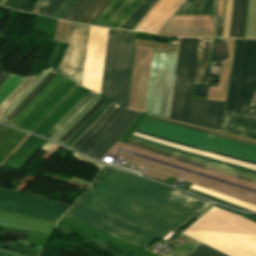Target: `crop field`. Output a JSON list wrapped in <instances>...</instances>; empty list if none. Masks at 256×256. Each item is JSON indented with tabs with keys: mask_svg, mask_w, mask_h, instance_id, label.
Wrapping results in <instances>:
<instances>
[{
	"mask_svg": "<svg viewBox=\"0 0 256 256\" xmlns=\"http://www.w3.org/2000/svg\"><path fill=\"white\" fill-rule=\"evenodd\" d=\"M211 204L103 166L65 216L145 250Z\"/></svg>",
	"mask_w": 256,
	"mask_h": 256,
	"instance_id": "crop-field-1",
	"label": "crop field"
},
{
	"mask_svg": "<svg viewBox=\"0 0 256 256\" xmlns=\"http://www.w3.org/2000/svg\"><path fill=\"white\" fill-rule=\"evenodd\" d=\"M182 233L229 256H256V224L215 207ZM202 243L187 256H227Z\"/></svg>",
	"mask_w": 256,
	"mask_h": 256,
	"instance_id": "crop-field-2",
	"label": "crop field"
},
{
	"mask_svg": "<svg viewBox=\"0 0 256 256\" xmlns=\"http://www.w3.org/2000/svg\"><path fill=\"white\" fill-rule=\"evenodd\" d=\"M199 39H180L169 119L220 131L224 102L189 99Z\"/></svg>",
	"mask_w": 256,
	"mask_h": 256,
	"instance_id": "crop-field-3",
	"label": "crop field"
},
{
	"mask_svg": "<svg viewBox=\"0 0 256 256\" xmlns=\"http://www.w3.org/2000/svg\"><path fill=\"white\" fill-rule=\"evenodd\" d=\"M135 33L108 32L100 94L123 107L126 104Z\"/></svg>",
	"mask_w": 256,
	"mask_h": 256,
	"instance_id": "crop-field-4",
	"label": "crop field"
},
{
	"mask_svg": "<svg viewBox=\"0 0 256 256\" xmlns=\"http://www.w3.org/2000/svg\"><path fill=\"white\" fill-rule=\"evenodd\" d=\"M127 109L115 103L111 104L71 148L99 160L139 115V112Z\"/></svg>",
	"mask_w": 256,
	"mask_h": 256,
	"instance_id": "crop-field-5",
	"label": "crop field"
},
{
	"mask_svg": "<svg viewBox=\"0 0 256 256\" xmlns=\"http://www.w3.org/2000/svg\"><path fill=\"white\" fill-rule=\"evenodd\" d=\"M137 130L256 162V147L145 117Z\"/></svg>",
	"mask_w": 256,
	"mask_h": 256,
	"instance_id": "crop-field-6",
	"label": "crop field"
},
{
	"mask_svg": "<svg viewBox=\"0 0 256 256\" xmlns=\"http://www.w3.org/2000/svg\"><path fill=\"white\" fill-rule=\"evenodd\" d=\"M176 57L153 50L144 109L149 115L168 119Z\"/></svg>",
	"mask_w": 256,
	"mask_h": 256,
	"instance_id": "crop-field-7",
	"label": "crop field"
},
{
	"mask_svg": "<svg viewBox=\"0 0 256 256\" xmlns=\"http://www.w3.org/2000/svg\"><path fill=\"white\" fill-rule=\"evenodd\" d=\"M70 205L12 190L0 189V210L57 222Z\"/></svg>",
	"mask_w": 256,
	"mask_h": 256,
	"instance_id": "crop-field-8",
	"label": "crop field"
},
{
	"mask_svg": "<svg viewBox=\"0 0 256 256\" xmlns=\"http://www.w3.org/2000/svg\"><path fill=\"white\" fill-rule=\"evenodd\" d=\"M88 30V26L72 23L69 45L56 69L79 85L82 83Z\"/></svg>",
	"mask_w": 256,
	"mask_h": 256,
	"instance_id": "crop-field-9",
	"label": "crop field"
},
{
	"mask_svg": "<svg viewBox=\"0 0 256 256\" xmlns=\"http://www.w3.org/2000/svg\"><path fill=\"white\" fill-rule=\"evenodd\" d=\"M128 140L132 141V142H135L137 144L149 147L151 149L160 151V152H164V153H167V154H170V155H174V156H177V157H180V158H184V159H187V160H190V161L201 163V164H204V165H207V166H211V167H214V168H217V169H221V170H224V171H227V172H231V173H234V174H238V175L256 180V174L251 173V172H247V171L240 170V169H237V168H233V167H230V166L222 165V164L215 163V162H212V161L204 160V159L197 158V157H194V156L178 153V152L172 151L170 149L163 148V147H160V146H157V145L145 142V141H141V140H138V139H135V138H132V137H130ZM129 141H127V144L142 148L144 150H147V151L159 154V155H162V156L170 158L172 160L179 161V162L186 163V164H189V165H193V166H196V167H200V168H203V169H206V170H210V171H213V172H216V173L228 176V177L237 178V179H241V180L256 184V181H254V180L244 178V177H241V176H238V175H234V174H231V173H227V172L217 170V169H214V168H211V167H207V166H204V165H201V164H197V163H194V162H190V161L180 159V158H177V157H174V156H170V155H167V154H164V153H160V152L151 150L149 148L137 145V144L129 142Z\"/></svg>",
	"mask_w": 256,
	"mask_h": 256,
	"instance_id": "crop-field-10",
	"label": "crop field"
},
{
	"mask_svg": "<svg viewBox=\"0 0 256 256\" xmlns=\"http://www.w3.org/2000/svg\"><path fill=\"white\" fill-rule=\"evenodd\" d=\"M255 64L256 41L245 40L235 113L247 117L249 114Z\"/></svg>",
	"mask_w": 256,
	"mask_h": 256,
	"instance_id": "crop-field-11",
	"label": "crop field"
},
{
	"mask_svg": "<svg viewBox=\"0 0 256 256\" xmlns=\"http://www.w3.org/2000/svg\"><path fill=\"white\" fill-rule=\"evenodd\" d=\"M140 0H114L93 25L117 28Z\"/></svg>",
	"mask_w": 256,
	"mask_h": 256,
	"instance_id": "crop-field-12",
	"label": "crop field"
},
{
	"mask_svg": "<svg viewBox=\"0 0 256 256\" xmlns=\"http://www.w3.org/2000/svg\"><path fill=\"white\" fill-rule=\"evenodd\" d=\"M0 224L52 234L56 223L27 216L0 212Z\"/></svg>",
	"mask_w": 256,
	"mask_h": 256,
	"instance_id": "crop-field-13",
	"label": "crop field"
},
{
	"mask_svg": "<svg viewBox=\"0 0 256 256\" xmlns=\"http://www.w3.org/2000/svg\"><path fill=\"white\" fill-rule=\"evenodd\" d=\"M223 132L256 140V120L226 112Z\"/></svg>",
	"mask_w": 256,
	"mask_h": 256,
	"instance_id": "crop-field-14",
	"label": "crop field"
},
{
	"mask_svg": "<svg viewBox=\"0 0 256 256\" xmlns=\"http://www.w3.org/2000/svg\"><path fill=\"white\" fill-rule=\"evenodd\" d=\"M67 79L62 86L20 128L30 131L75 85Z\"/></svg>",
	"mask_w": 256,
	"mask_h": 256,
	"instance_id": "crop-field-15",
	"label": "crop field"
},
{
	"mask_svg": "<svg viewBox=\"0 0 256 256\" xmlns=\"http://www.w3.org/2000/svg\"><path fill=\"white\" fill-rule=\"evenodd\" d=\"M88 91L80 86L35 133L44 136Z\"/></svg>",
	"mask_w": 256,
	"mask_h": 256,
	"instance_id": "crop-field-16",
	"label": "crop field"
},
{
	"mask_svg": "<svg viewBox=\"0 0 256 256\" xmlns=\"http://www.w3.org/2000/svg\"><path fill=\"white\" fill-rule=\"evenodd\" d=\"M213 39H200L194 83L207 84Z\"/></svg>",
	"mask_w": 256,
	"mask_h": 256,
	"instance_id": "crop-field-17",
	"label": "crop field"
},
{
	"mask_svg": "<svg viewBox=\"0 0 256 256\" xmlns=\"http://www.w3.org/2000/svg\"><path fill=\"white\" fill-rule=\"evenodd\" d=\"M243 43H244V40L237 39L233 71H232V78H231V85H230L229 100H228V107H227V111L233 112V113L235 110V102H236V95H237V87H238V80H239Z\"/></svg>",
	"mask_w": 256,
	"mask_h": 256,
	"instance_id": "crop-field-18",
	"label": "crop field"
},
{
	"mask_svg": "<svg viewBox=\"0 0 256 256\" xmlns=\"http://www.w3.org/2000/svg\"><path fill=\"white\" fill-rule=\"evenodd\" d=\"M247 0H234L229 37L242 38Z\"/></svg>",
	"mask_w": 256,
	"mask_h": 256,
	"instance_id": "crop-field-19",
	"label": "crop field"
},
{
	"mask_svg": "<svg viewBox=\"0 0 256 256\" xmlns=\"http://www.w3.org/2000/svg\"><path fill=\"white\" fill-rule=\"evenodd\" d=\"M157 1L158 0H142V2L135 8L119 28L132 30Z\"/></svg>",
	"mask_w": 256,
	"mask_h": 256,
	"instance_id": "crop-field-20",
	"label": "crop field"
},
{
	"mask_svg": "<svg viewBox=\"0 0 256 256\" xmlns=\"http://www.w3.org/2000/svg\"><path fill=\"white\" fill-rule=\"evenodd\" d=\"M58 71L52 70L47 77L24 99V101L3 121L9 124L51 81Z\"/></svg>",
	"mask_w": 256,
	"mask_h": 256,
	"instance_id": "crop-field-21",
	"label": "crop field"
},
{
	"mask_svg": "<svg viewBox=\"0 0 256 256\" xmlns=\"http://www.w3.org/2000/svg\"><path fill=\"white\" fill-rule=\"evenodd\" d=\"M110 1L111 0H92L74 21L90 24Z\"/></svg>",
	"mask_w": 256,
	"mask_h": 256,
	"instance_id": "crop-field-22",
	"label": "crop field"
},
{
	"mask_svg": "<svg viewBox=\"0 0 256 256\" xmlns=\"http://www.w3.org/2000/svg\"><path fill=\"white\" fill-rule=\"evenodd\" d=\"M195 0H188L176 15H182ZM212 0H196L183 15L210 14Z\"/></svg>",
	"mask_w": 256,
	"mask_h": 256,
	"instance_id": "crop-field-23",
	"label": "crop field"
},
{
	"mask_svg": "<svg viewBox=\"0 0 256 256\" xmlns=\"http://www.w3.org/2000/svg\"><path fill=\"white\" fill-rule=\"evenodd\" d=\"M26 135L21 131L13 129L6 139L0 144V163L8 156L19 141Z\"/></svg>",
	"mask_w": 256,
	"mask_h": 256,
	"instance_id": "crop-field-24",
	"label": "crop field"
},
{
	"mask_svg": "<svg viewBox=\"0 0 256 256\" xmlns=\"http://www.w3.org/2000/svg\"><path fill=\"white\" fill-rule=\"evenodd\" d=\"M101 97L99 94H95L88 103L74 116L72 117L65 125H63L57 133L51 138V140L57 141L65 132H67Z\"/></svg>",
	"mask_w": 256,
	"mask_h": 256,
	"instance_id": "crop-field-25",
	"label": "crop field"
},
{
	"mask_svg": "<svg viewBox=\"0 0 256 256\" xmlns=\"http://www.w3.org/2000/svg\"><path fill=\"white\" fill-rule=\"evenodd\" d=\"M112 102L106 100L104 104L97 110V112L78 130L76 131L65 143L64 145L70 147L81 135H83L92 124L101 116V114L108 108Z\"/></svg>",
	"mask_w": 256,
	"mask_h": 256,
	"instance_id": "crop-field-26",
	"label": "crop field"
},
{
	"mask_svg": "<svg viewBox=\"0 0 256 256\" xmlns=\"http://www.w3.org/2000/svg\"><path fill=\"white\" fill-rule=\"evenodd\" d=\"M27 77L11 74L0 87V104L9 97Z\"/></svg>",
	"mask_w": 256,
	"mask_h": 256,
	"instance_id": "crop-field-27",
	"label": "crop field"
},
{
	"mask_svg": "<svg viewBox=\"0 0 256 256\" xmlns=\"http://www.w3.org/2000/svg\"><path fill=\"white\" fill-rule=\"evenodd\" d=\"M95 94V92L89 91L75 106L74 108L59 122L57 123L46 135L45 137H52L54 133L65 124L72 116H74L85 104L86 102Z\"/></svg>",
	"mask_w": 256,
	"mask_h": 256,
	"instance_id": "crop-field-28",
	"label": "crop field"
},
{
	"mask_svg": "<svg viewBox=\"0 0 256 256\" xmlns=\"http://www.w3.org/2000/svg\"><path fill=\"white\" fill-rule=\"evenodd\" d=\"M106 100L105 97H101L97 103L67 132L65 133L58 142L64 143L77 129H79L95 112L96 110L103 104Z\"/></svg>",
	"mask_w": 256,
	"mask_h": 256,
	"instance_id": "crop-field-29",
	"label": "crop field"
},
{
	"mask_svg": "<svg viewBox=\"0 0 256 256\" xmlns=\"http://www.w3.org/2000/svg\"><path fill=\"white\" fill-rule=\"evenodd\" d=\"M62 1L63 0H39L29 12L34 13L31 11L38 10L35 14L50 16Z\"/></svg>",
	"mask_w": 256,
	"mask_h": 256,
	"instance_id": "crop-field-30",
	"label": "crop field"
},
{
	"mask_svg": "<svg viewBox=\"0 0 256 256\" xmlns=\"http://www.w3.org/2000/svg\"><path fill=\"white\" fill-rule=\"evenodd\" d=\"M245 38L256 39V0H250Z\"/></svg>",
	"mask_w": 256,
	"mask_h": 256,
	"instance_id": "crop-field-31",
	"label": "crop field"
},
{
	"mask_svg": "<svg viewBox=\"0 0 256 256\" xmlns=\"http://www.w3.org/2000/svg\"><path fill=\"white\" fill-rule=\"evenodd\" d=\"M223 3H224V0H214L213 6H212V18H213V22H214L216 35L218 37L220 34Z\"/></svg>",
	"mask_w": 256,
	"mask_h": 256,
	"instance_id": "crop-field-32",
	"label": "crop field"
},
{
	"mask_svg": "<svg viewBox=\"0 0 256 256\" xmlns=\"http://www.w3.org/2000/svg\"><path fill=\"white\" fill-rule=\"evenodd\" d=\"M36 76L37 75L29 76L27 80L0 106V114L18 95H20L30 85Z\"/></svg>",
	"mask_w": 256,
	"mask_h": 256,
	"instance_id": "crop-field-33",
	"label": "crop field"
},
{
	"mask_svg": "<svg viewBox=\"0 0 256 256\" xmlns=\"http://www.w3.org/2000/svg\"><path fill=\"white\" fill-rule=\"evenodd\" d=\"M90 1L91 0H79L63 19L73 21Z\"/></svg>",
	"mask_w": 256,
	"mask_h": 256,
	"instance_id": "crop-field-34",
	"label": "crop field"
},
{
	"mask_svg": "<svg viewBox=\"0 0 256 256\" xmlns=\"http://www.w3.org/2000/svg\"><path fill=\"white\" fill-rule=\"evenodd\" d=\"M53 68H49L41 78L21 97V99L3 116L0 120L2 122L21 102L22 100L45 78V76L52 70Z\"/></svg>",
	"mask_w": 256,
	"mask_h": 256,
	"instance_id": "crop-field-35",
	"label": "crop field"
},
{
	"mask_svg": "<svg viewBox=\"0 0 256 256\" xmlns=\"http://www.w3.org/2000/svg\"><path fill=\"white\" fill-rule=\"evenodd\" d=\"M135 132H138V133H141V134H145V135H149V136H153V137H157V138L164 139V140H167V141H170V142H174V143H177V144H180V145H184V146H187V147H190V148H194V149H198V150H202V151L210 152V153H213V154H217V155L225 156V157H228V158H232V159H236V160H239V161H243V162H247V163H251V164L256 165V163L251 162V161H247V160L238 159V158L230 157V156H227V155H223V154L215 153V152H212V151H208V150H205V149H201V148L193 147V146H190V145L182 144V143H179V142H175V141H172V140H169V139H165V138H162V137H158V136L151 135V134L144 133V132L137 131V130H135Z\"/></svg>",
	"mask_w": 256,
	"mask_h": 256,
	"instance_id": "crop-field-36",
	"label": "crop field"
},
{
	"mask_svg": "<svg viewBox=\"0 0 256 256\" xmlns=\"http://www.w3.org/2000/svg\"><path fill=\"white\" fill-rule=\"evenodd\" d=\"M78 0H67L62 7L55 13L53 16L54 18L62 19L65 14L72 8V6L77 2Z\"/></svg>",
	"mask_w": 256,
	"mask_h": 256,
	"instance_id": "crop-field-37",
	"label": "crop field"
},
{
	"mask_svg": "<svg viewBox=\"0 0 256 256\" xmlns=\"http://www.w3.org/2000/svg\"><path fill=\"white\" fill-rule=\"evenodd\" d=\"M188 191L193 192V193L198 194V195H201V196L206 197V198H208V199H211V200L220 202V203H222V204H225V205L234 207V208H236V209H238V210L249 211V210L244 209V208H242V207L236 206V205H234V204H231V203H229V202H226V201L221 200V199H219V198H216V197H214V196H211V195H208V194H205V193H202V192L193 190V189H191V188H189Z\"/></svg>",
	"mask_w": 256,
	"mask_h": 256,
	"instance_id": "crop-field-38",
	"label": "crop field"
},
{
	"mask_svg": "<svg viewBox=\"0 0 256 256\" xmlns=\"http://www.w3.org/2000/svg\"><path fill=\"white\" fill-rule=\"evenodd\" d=\"M79 85H75L71 91L31 130L34 132L77 88Z\"/></svg>",
	"mask_w": 256,
	"mask_h": 256,
	"instance_id": "crop-field-39",
	"label": "crop field"
},
{
	"mask_svg": "<svg viewBox=\"0 0 256 256\" xmlns=\"http://www.w3.org/2000/svg\"><path fill=\"white\" fill-rule=\"evenodd\" d=\"M158 120H160V119H158ZM162 121H164V120H162ZM165 122H168V121H165ZM169 123L176 124V125H179V126H183V127H186V128H190V129H193V130H197V131H200V132H204V133H207V134H211V135H215V136L223 137V138H226V139H230V140H234V141H238V142H242V143H246V144H250V145L256 146L255 143H250V142L242 141V140H239V139L231 138V137L224 136V135L217 134V133H213V132H210V131H206V130H202V129H197V128H193V127H189V126H185V125H181V124H177V123H173V122H169Z\"/></svg>",
	"mask_w": 256,
	"mask_h": 256,
	"instance_id": "crop-field-40",
	"label": "crop field"
},
{
	"mask_svg": "<svg viewBox=\"0 0 256 256\" xmlns=\"http://www.w3.org/2000/svg\"><path fill=\"white\" fill-rule=\"evenodd\" d=\"M27 1L28 0H19L13 8L20 10ZM37 1L38 0H29L21 9V11L28 12Z\"/></svg>",
	"mask_w": 256,
	"mask_h": 256,
	"instance_id": "crop-field-41",
	"label": "crop field"
},
{
	"mask_svg": "<svg viewBox=\"0 0 256 256\" xmlns=\"http://www.w3.org/2000/svg\"><path fill=\"white\" fill-rule=\"evenodd\" d=\"M132 137H133V136H132ZM135 138H137V137H135ZM139 139H140V138H139ZM142 140H144V139H142ZM145 141H147V140H145ZM148 142H150V141H148ZM151 143H154V142H151ZM155 144H157V143H155ZM158 145H161V144H158ZM161 146H164V145H161ZM164 147L173 149V150L178 151V152H182V153L194 155V156H197V157H201V158H204V159L212 160V161H215V162H219V163H222V164L230 165V166H233V167H237V168H240V169H244V170H247V171H251V172L256 173V171H253V170H250V169H246V168H243V167H239V166H236V165H232V164H229V163H226V162H222V161H219V160H215V159H211V158H207V157H203V156L191 154V153H188V152H185V151H181V150H178V149H175V148H172V147H168V146H164Z\"/></svg>",
	"mask_w": 256,
	"mask_h": 256,
	"instance_id": "crop-field-42",
	"label": "crop field"
},
{
	"mask_svg": "<svg viewBox=\"0 0 256 256\" xmlns=\"http://www.w3.org/2000/svg\"><path fill=\"white\" fill-rule=\"evenodd\" d=\"M67 78H68V77L65 76V77L62 79V81L55 87V89H54L43 101H41V102H40V103H39V104H38V105H37V106H36V107H35V108L17 125V127H19L36 109H38V108H39V107H40V106H41V105H42V104H43V103L61 86V84H62ZM35 112H36V111H35ZM35 112H34V113H35ZM34 113H33V114H34ZM33 114H32V115H33ZM32 115H31V116H32ZM31 116H30V117H31ZM30 117H29V118H30ZM29 118H28V119H29ZM28 119H27V120H28ZM27 120H26V121H27Z\"/></svg>",
	"mask_w": 256,
	"mask_h": 256,
	"instance_id": "crop-field-43",
	"label": "crop field"
},
{
	"mask_svg": "<svg viewBox=\"0 0 256 256\" xmlns=\"http://www.w3.org/2000/svg\"><path fill=\"white\" fill-rule=\"evenodd\" d=\"M249 117L256 118V72H255V79H254V86H253V93H252Z\"/></svg>",
	"mask_w": 256,
	"mask_h": 256,
	"instance_id": "crop-field-44",
	"label": "crop field"
},
{
	"mask_svg": "<svg viewBox=\"0 0 256 256\" xmlns=\"http://www.w3.org/2000/svg\"><path fill=\"white\" fill-rule=\"evenodd\" d=\"M216 207H219V208H221V209H225V210L234 212V213H236V214H238V215H241V216H243V217H246V218H248V219L253 220V221L256 222V214H243V213H240V212H237V211H233V210H230V209H227V208L218 206V205H216Z\"/></svg>",
	"mask_w": 256,
	"mask_h": 256,
	"instance_id": "crop-field-45",
	"label": "crop field"
},
{
	"mask_svg": "<svg viewBox=\"0 0 256 256\" xmlns=\"http://www.w3.org/2000/svg\"><path fill=\"white\" fill-rule=\"evenodd\" d=\"M72 157L79 158V159H81V160H83V161H85V162H87V163H89V164H91V165H93V166L99 168V169H100V167H101V165H99V164H97V163H95V162H93V161H91V160H89V159H87V158H84V157H82V156H80V155H77V154H75V153L72 155Z\"/></svg>",
	"mask_w": 256,
	"mask_h": 256,
	"instance_id": "crop-field-46",
	"label": "crop field"
},
{
	"mask_svg": "<svg viewBox=\"0 0 256 256\" xmlns=\"http://www.w3.org/2000/svg\"><path fill=\"white\" fill-rule=\"evenodd\" d=\"M18 0H7L3 5L4 7L12 8Z\"/></svg>",
	"mask_w": 256,
	"mask_h": 256,
	"instance_id": "crop-field-47",
	"label": "crop field"
},
{
	"mask_svg": "<svg viewBox=\"0 0 256 256\" xmlns=\"http://www.w3.org/2000/svg\"><path fill=\"white\" fill-rule=\"evenodd\" d=\"M10 75V73L6 72L3 74V76L0 78V86L2 85V83L8 78V76Z\"/></svg>",
	"mask_w": 256,
	"mask_h": 256,
	"instance_id": "crop-field-48",
	"label": "crop field"
},
{
	"mask_svg": "<svg viewBox=\"0 0 256 256\" xmlns=\"http://www.w3.org/2000/svg\"><path fill=\"white\" fill-rule=\"evenodd\" d=\"M53 143H51V142H47L42 148H41V150H45V151H47L48 149H49V147L52 145Z\"/></svg>",
	"mask_w": 256,
	"mask_h": 256,
	"instance_id": "crop-field-49",
	"label": "crop field"
},
{
	"mask_svg": "<svg viewBox=\"0 0 256 256\" xmlns=\"http://www.w3.org/2000/svg\"><path fill=\"white\" fill-rule=\"evenodd\" d=\"M3 69H2V67L0 66V76H1V74L3 73Z\"/></svg>",
	"mask_w": 256,
	"mask_h": 256,
	"instance_id": "crop-field-50",
	"label": "crop field"
},
{
	"mask_svg": "<svg viewBox=\"0 0 256 256\" xmlns=\"http://www.w3.org/2000/svg\"><path fill=\"white\" fill-rule=\"evenodd\" d=\"M0 2H3V0H0Z\"/></svg>",
	"mask_w": 256,
	"mask_h": 256,
	"instance_id": "crop-field-51",
	"label": "crop field"
}]
</instances>
